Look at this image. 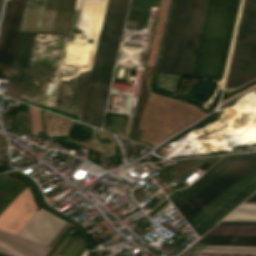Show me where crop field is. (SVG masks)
I'll return each mask as SVG.
<instances>
[{"instance_id":"obj_1","label":"crop field","mask_w":256,"mask_h":256,"mask_svg":"<svg viewBox=\"0 0 256 256\" xmlns=\"http://www.w3.org/2000/svg\"><path fill=\"white\" fill-rule=\"evenodd\" d=\"M208 0H175L159 71L191 76ZM240 0H209L192 76L220 81Z\"/></svg>"},{"instance_id":"obj_2","label":"crop field","mask_w":256,"mask_h":256,"mask_svg":"<svg viewBox=\"0 0 256 256\" xmlns=\"http://www.w3.org/2000/svg\"><path fill=\"white\" fill-rule=\"evenodd\" d=\"M129 0H109L82 122L100 128Z\"/></svg>"},{"instance_id":"obj_3","label":"crop field","mask_w":256,"mask_h":256,"mask_svg":"<svg viewBox=\"0 0 256 256\" xmlns=\"http://www.w3.org/2000/svg\"><path fill=\"white\" fill-rule=\"evenodd\" d=\"M255 78L256 0H245L226 87H239Z\"/></svg>"},{"instance_id":"obj_4","label":"crop field","mask_w":256,"mask_h":256,"mask_svg":"<svg viewBox=\"0 0 256 256\" xmlns=\"http://www.w3.org/2000/svg\"><path fill=\"white\" fill-rule=\"evenodd\" d=\"M254 191H256V166L187 222L197 235L201 236Z\"/></svg>"},{"instance_id":"obj_5","label":"crop field","mask_w":256,"mask_h":256,"mask_svg":"<svg viewBox=\"0 0 256 256\" xmlns=\"http://www.w3.org/2000/svg\"><path fill=\"white\" fill-rule=\"evenodd\" d=\"M254 165H256V151L246 153L181 208H179V212L187 221L217 195L250 170Z\"/></svg>"},{"instance_id":"obj_6","label":"crop field","mask_w":256,"mask_h":256,"mask_svg":"<svg viewBox=\"0 0 256 256\" xmlns=\"http://www.w3.org/2000/svg\"><path fill=\"white\" fill-rule=\"evenodd\" d=\"M25 1L7 0L0 27V79H7Z\"/></svg>"},{"instance_id":"obj_7","label":"crop field","mask_w":256,"mask_h":256,"mask_svg":"<svg viewBox=\"0 0 256 256\" xmlns=\"http://www.w3.org/2000/svg\"><path fill=\"white\" fill-rule=\"evenodd\" d=\"M35 34L19 32L6 95L20 100Z\"/></svg>"},{"instance_id":"obj_8","label":"crop field","mask_w":256,"mask_h":256,"mask_svg":"<svg viewBox=\"0 0 256 256\" xmlns=\"http://www.w3.org/2000/svg\"><path fill=\"white\" fill-rule=\"evenodd\" d=\"M64 224L40 209L18 235L48 245Z\"/></svg>"},{"instance_id":"obj_9","label":"crop field","mask_w":256,"mask_h":256,"mask_svg":"<svg viewBox=\"0 0 256 256\" xmlns=\"http://www.w3.org/2000/svg\"><path fill=\"white\" fill-rule=\"evenodd\" d=\"M52 247L0 231V253L8 256H46Z\"/></svg>"},{"instance_id":"obj_10","label":"crop field","mask_w":256,"mask_h":256,"mask_svg":"<svg viewBox=\"0 0 256 256\" xmlns=\"http://www.w3.org/2000/svg\"><path fill=\"white\" fill-rule=\"evenodd\" d=\"M243 154L245 153L228 155L202 177H200L196 182H194L191 186H189L186 190H184L181 194H179L176 198H174L171 202L176 208H178L191 196H193L196 192H198L201 188L213 180L217 175H219L222 171L234 163Z\"/></svg>"},{"instance_id":"obj_11","label":"crop field","mask_w":256,"mask_h":256,"mask_svg":"<svg viewBox=\"0 0 256 256\" xmlns=\"http://www.w3.org/2000/svg\"><path fill=\"white\" fill-rule=\"evenodd\" d=\"M194 244L256 246V236L204 235Z\"/></svg>"},{"instance_id":"obj_12","label":"crop field","mask_w":256,"mask_h":256,"mask_svg":"<svg viewBox=\"0 0 256 256\" xmlns=\"http://www.w3.org/2000/svg\"><path fill=\"white\" fill-rule=\"evenodd\" d=\"M206 234L256 235V226L216 225Z\"/></svg>"},{"instance_id":"obj_13","label":"crop field","mask_w":256,"mask_h":256,"mask_svg":"<svg viewBox=\"0 0 256 256\" xmlns=\"http://www.w3.org/2000/svg\"><path fill=\"white\" fill-rule=\"evenodd\" d=\"M84 247H85V245H83V244H81V243H79V242H77L73 239H70V238L66 237L64 239V241L58 246V248L56 247L57 249L55 248L56 250L55 249H54L55 251L53 250L54 252L52 253V255L51 254L50 255L55 256L56 254H58L60 256H78L79 253L84 249Z\"/></svg>"},{"instance_id":"obj_14","label":"crop field","mask_w":256,"mask_h":256,"mask_svg":"<svg viewBox=\"0 0 256 256\" xmlns=\"http://www.w3.org/2000/svg\"><path fill=\"white\" fill-rule=\"evenodd\" d=\"M245 202H256V193ZM233 212H256V203H243Z\"/></svg>"},{"instance_id":"obj_15","label":"crop field","mask_w":256,"mask_h":256,"mask_svg":"<svg viewBox=\"0 0 256 256\" xmlns=\"http://www.w3.org/2000/svg\"><path fill=\"white\" fill-rule=\"evenodd\" d=\"M223 220H250V221H256V213H230Z\"/></svg>"},{"instance_id":"obj_16","label":"crop field","mask_w":256,"mask_h":256,"mask_svg":"<svg viewBox=\"0 0 256 256\" xmlns=\"http://www.w3.org/2000/svg\"><path fill=\"white\" fill-rule=\"evenodd\" d=\"M192 256H256V254H248V253L193 252Z\"/></svg>"},{"instance_id":"obj_17","label":"crop field","mask_w":256,"mask_h":256,"mask_svg":"<svg viewBox=\"0 0 256 256\" xmlns=\"http://www.w3.org/2000/svg\"><path fill=\"white\" fill-rule=\"evenodd\" d=\"M207 247H221V248H255L256 247H246V246H207ZM221 248H204V249H219V250H253L256 251L255 249H221ZM219 250H202V251H217V252H251V253H256L253 251H219Z\"/></svg>"},{"instance_id":"obj_18","label":"crop field","mask_w":256,"mask_h":256,"mask_svg":"<svg viewBox=\"0 0 256 256\" xmlns=\"http://www.w3.org/2000/svg\"><path fill=\"white\" fill-rule=\"evenodd\" d=\"M70 226L71 225L66 223L65 226L60 230V232L55 236V238L50 242L49 246L54 247Z\"/></svg>"},{"instance_id":"obj_19","label":"crop field","mask_w":256,"mask_h":256,"mask_svg":"<svg viewBox=\"0 0 256 256\" xmlns=\"http://www.w3.org/2000/svg\"><path fill=\"white\" fill-rule=\"evenodd\" d=\"M218 224H247V225H256V222H224V221H221Z\"/></svg>"},{"instance_id":"obj_20","label":"crop field","mask_w":256,"mask_h":256,"mask_svg":"<svg viewBox=\"0 0 256 256\" xmlns=\"http://www.w3.org/2000/svg\"><path fill=\"white\" fill-rule=\"evenodd\" d=\"M2 4H3V0H0V13H1V9H2Z\"/></svg>"},{"instance_id":"obj_21","label":"crop field","mask_w":256,"mask_h":256,"mask_svg":"<svg viewBox=\"0 0 256 256\" xmlns=\"http://www.w3.org/2000/svg\"><path fill=\"white\" fill-rule=\"evenodd\" d=\"M0 256H5V255L0 254Z\"/></svg>"},{"instance_id":"obj_22","label":"crop field","mask_w":256,"mask_h":256,"mask_svg":"<svg viewBox=\"0 0 256 256\" xmlns=\"http://www.w3.org/2000/svg\"><path fill=\"white\" fill-rule=\"evenodd\" d=\"M56 256H58V255H56Z\"/></svg>"}]
</instances>
